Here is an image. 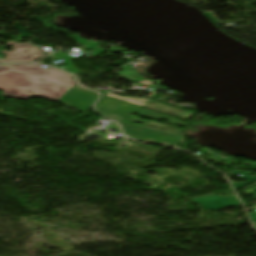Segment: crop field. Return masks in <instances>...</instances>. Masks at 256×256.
Segmentation results:
<instances>
[{
    "label": "crop field",
    "instance_id": "obj_5",
    "mask_svg": "<svg viewBox=\"0 0 256 256\" xmlns=\"http://www.w3.org/2000/svg\"><path fill=\"white\" fill-rule=\"evenodd\" d=\"M194 201L206 210H219L225 207L238 205L239 202L234 197L208 196L196 198Z\"/></svg>",
    "mask_w": 256,
    "mask_h": 256
},
{
    "label": "crop field",
    "instance_id": "obj_14",
    "mask_svg": "<svg viewBox=\"0 0 256 256\" xmlns=\"http://www.w3.org/2000/svg\"><path fill=\"white\" fill-rule=\"evenodd\" d=\"M159 88H160V86H159L157 89H155V90H154L150 95H148L147 97H152V95H153L156 91H158Z\"/></svg>",
    "mask_w": 256,
    "mask_h": 256
},
{
    "label": "crop field",
    "instance_id": "obj_4",
    "mask_svg": "<svg viewBox=\"0 0 256 256\" xmlns=\"http://www.w3.org/2000/svg\"><path fill=\"white\" fill-rule=\"evenodd\" d=\"M97 97V95L71 89L58 102L85 113Z\"/></svg>",
    "mask_w": 256,
    "mask_h": 256
},
{
    "label": "crop field",
    "instance_id": "obj_3",
    "mask_svg": "<svg viewBox=\"0 0 256 256\" xmlns=\"http://www.w3.org/2000/svg\"><path fill=\"white\" fill-rule=\"evenodd\" d=\"M7 46H14L10 52L3 51L1 53L6 54L4 60H0V63H18V62H33L36 59L44 58V53L40 49L32 46L30 43L18 44L11 41L6 44Z\"/></svg>",
    "mask_w": 256,
    "mask_h": 256
},
{
    "label": "crop field",
    "instance_id": "obj_1",
    "mask_svg": "<svg viewBox=\"0 0 256 256\" xmlns=\"http://www.w3.org/2000/svg\"><path fill=\"white\" fill-rule=\"evenodd\" d=\"M3 97L28 100L32 96L59 100L70 90L67 74L40 65L0 66Z\"/></svg>",
    "mask_w": 256,
    "mask_h": 256
},
{
    "label": "crop field",
    "instance_id": "obj_9",
    "mask_svg": "<svg viewBox=\"0 0 256 256\" xmlns=\"http://www.w3.org/2000/svg\"><path fill=\"white\" fill-rule=\"evenodd\" d=\"M56 59H62L65 61L67 67L64 68L63 70L68 71L70 73H82L79 72L74 66L72 61L70 60V57H68L65 53H56L54 54Z\"/></svg>",
    "mask_w": 256,
    "mask_h": 256
},
{
    "label": "crop field",
    "instance_id": "obj_12",
    "mask_svg": "<svg viewBox=\"0 0 256 256\" xmlns=\"http://www.w3.org/2000/svg\"><path fill=\"white\" fill-rule=\"evenodd\" d=\"M70 77V82H71V88L76 86L77 84L73 81V79L71 78V76L69 75Z\"/></svg>",
    "mask_w": 256,
    "mask_h": 256
},
{
    "label": "crop field",
    "instance_id": "obj_10",
    "mask_svg": "<svg viewBox=\"0 0 256 256\" xmlns=\"http://www.w3.org/2000/svg\"><path fill=\"white\" fill-rule=\"evenodd\" d=\"M86 49L94 50V52H95V50H97V52H95V56H99L100 53L102 52V49H100L98 47L97 43H93V44L87 46Z\"/></svg>",
    "mask_w": 256,
    "mask_h": 256
},
{
    "label": "crop field",
    "instance_id": "obj_11",
    "mask_svg": "<svg viewBox=\"0 0 256 256\" xmlns=\"http://www.w3.org/2000/svg\"><path fill=\"white\" fill-rule=\"evenodd\" d=\"M205 15H207L214 23L219 22L217 17L213 14V12L211 10L208 11H204L203 12Z\"/></svg>",
    "mask_w": 256,
    "mask_h": 256
},
{
    "label": "crop field",
    "instance_id": "obj_15",
    "mask_svg": "<svg viewBox=\"0 0 256 256\" xmlns=\"http://www.w3.org/2000/svg\"><path fill=\"white\" fill-rule=\"evenodd\" d=\"M254 226L256 227V224H254Z\"/></svg>",
    "mask_w": 256,
    "mask_h": 256
},
{
    "label": "crop field",
    "instance_id": "obj_13",
    "mask_svg": "<svg viewBox=\"0 0 256 256\" xmlns=\"http://www.w3.org/2000/svg\"><path fill=\"white\" fill-rule=\"evenodd\" d=\"M250 215H251L252 221L256 222V214H250Z\"/></svg>",
    "mask_w": 256,
    "mask_h": 256
},
{
    "label": "crop field",
    "instance_id": "obj_7",
    "mask_svg": "<svg viewBox=\"0 0 256 256\" xmlns=\"http://www.w3.org/2000/svg\"><path fill=\"white\" fill-rule=\"evenodd\" d=\"M105 95L109 96V97L119 99V100H122V101H125V102H129V103H132V104H135V105H138V106H142V107H145V108H147L152 103H154L153 100H149V99H145V98L121 97V96H117V95L112 94V93H106Z\"/></svg>",
    "mask_w": 256,
    "mask_h": 256
},
{
    "label": "crop field",
    "instance_id": "obj_2",
    "mask_svg": "<svg viewBox=\"0 0 256 256\" xmlns=\"http://www.w3.org/2000/svg\"><path fill=\"white\" fill-rule=\"evenodd\" d=\"M97 111L107 118L113 119L122 124L124 131L127 135L131 136L133 139L148 141L152 143L170 144L177 146L180 142V137L178 135L182 132L181 130L166 127L153 122H145L133 117L128 116L131 113H138L145 117L159 120L161 118L168 119L172 125H183L187 124L180 123L176 119L163 116L142 108H138L117 100H113L102 96L98 104L96 105ZM127 118L131 121L144 123L143 127H137L130 125L119 117Z\"/></svg>",
    "mask_w": 256,
    "mask_h": 256
},
{
    "label": "crop field",
    "instance_id": "obj_6",
    "mask_svg": "<svg viewBox=\"0 0 256 256\" xmlns=\"http://www.w3.org/2000/svg\"><path fill=\"white\" fill-rule=\"evenodd\" d=\"M148 109L155 110V111L162 112V113H166V114L176 116V117L186 119V120H188L191 116L194 115V113H192V112L181 111L179 109L169 107V106H166V105H162V104H158V103H154Z\"/></svg>",
    "mask_w": 256,
    "mask_h": 256
},
{
    "label": "crop field",
    "instance_id": "obj_8",
    "mask_svg": "<svg viewBox=\"0 0 256 256\" xmlns=\"http://www.w3.org/2000/svg\"><path fill=\"white\" fill-rule=\"evenodd\" d=\"M250 166L253 167V168H256V164H252V165H250ZM229 174H232V175H244V176H245L244 179H245V180H248V181L245 182V183H234L233 186H234L235 190H237V189H239V188H241V187H244V186H246V185H249V184H251V183H253V182H256V177H252L251 175H249V174L246 173V172H242V171H233V172H231V173H229ZM254 185H256V184H254ZM254 185H252V186H254Z\"/></svg>",
    "mask_w": 256,
    "mask_h": 256
}]
</instances>
